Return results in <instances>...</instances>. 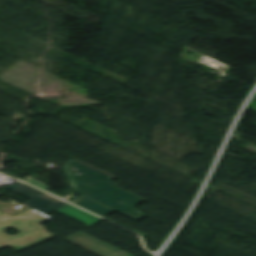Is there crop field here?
<instances>
[{
    "mask_svg": "<svg viewBox=\"0 0 256 256\" xmlns=\"http://www.w3.org/2000/svg\"><path fill=\"white\" fill-rule=\"evenodd\" d=\"M50 219L52 218L32 209L15 217L0 211V249L9 246L22 252L56 237L47 233L45 227L39 225ZM7 228L18 229L21 233L8 236L4 233Z\"/></svg>",
    "mask_w": 256,
    "mask_h": 256,
    "instance_id": "crop-field-2",
    "label": "crop field"
},
{
    "mask_svg": "<svg viewBox=\"0 0 256 256\" xmlns=\"http://www.w3.org/2000/svg\"><path fill=\"white\" fill-rule=\"evenodd\" d=\"M30 208L24 206L18 210L13 209V205L0 202V210L6 212L12 216H15L21 212H24Z\"/></svg>",
    "mask_w": 256,
    "mask_h": 256,
    "instance_id": "crop-field-6",
    "label": "crop field"
},
{
    "mask_svg": "<svg viewBox=\"0 0 256 256\" xmlns=\"http://www.w3.org/2000/svg\"><path fill=\"white\" fill-rule=\"evenodd\" d=\"M65 240L99 256H132L82 232L71 235Z\"/></svg>",
    "mask_w": 256,
    "mask_h": 256,
    "instance_id": "crop-field-4",
    "label": "crop field"
},
{
    "mask_svg": "<svg viewBox=\"0 0 256 256\" xmlns=\"http://www.w3.org/2000/svg\"><path fill=\"white\" fill-rule=\"evenodd\" d=\"M64 169L73 191L83 195L75 204L102 217L116 211L138 221L146 217L136 211V204L146 200L115 187L114 177L78 160L67 162Z\"/></svg>",
    "mask_w": 256,
    "mask_h": 256,
    "instance_id": "crop-field-1",
    "label": "crop field"
},
{
    "mask_svg": "<svg viewBox=\"0 0 256 256\" xmlns=\"http://www.w3.org/2000/svg\"><path fill=\"white\" fill-rule=\"evenodd\" d=\"M6 188L32 200L28 203H25L23 205H26L36 211L42 212L44 214H47L49 212H52L54 210H57L61 207H64L68 205V203L59 200L53 196H50L46 193H43L39 190H36L30 186H27L23 183L14 184L6 186Z\"/></svg>",
    "mask_w": 256,
    "mask_h": 256,
    "instance_id": "crop-field-3",
    "label": "crop field"
},
{
    "mask_svg": "<svg viewBox=\"0 0 256 256\" xmlns=\"http://www.w3.org/2000/svg\"><path fill=\"white\" fill-rule=\"evenodd\" d=\"M57 211L65 214V215H67V216L85 224V225H87L89 223H91L93 225V224L103 220V219L98 218L94 215H91V214H89L85 211H82L78 208H75L71 205H68L64 208H61V209L57 210Z\"/></svg>",
    "mask_w": 256,
    "mask_h": 256,
    "instance_id": "crop-field-5",
    "label": "crop field"
}]
</instances>
